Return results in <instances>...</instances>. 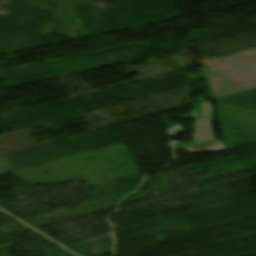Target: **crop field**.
<instances>
[{
    "mask_svg": "<svg viewBox=\"0 0 256 256\" xmlns=\"http://www.w3.org/2000/svg\"><path fill=\"white\" fill-rule=\"evenodd\" d=\"M202 119H194L195 133L193 141L214 140L210 120L212 117V109L208 102L201 103Z\"/></svg>",
    "mask_w": 256,
    "mask_h": 256,
    "instance_id": "obj_1",
    "label": "crop field"
}]
</instances>
